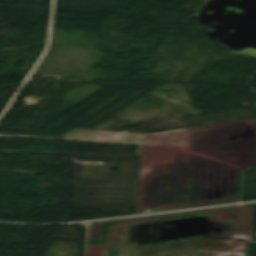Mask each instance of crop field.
<instances>
[{"instance_id": "obj_1", "label": "crop field", "mask_w": 256, "mask_h": 256, "mask_svg": "<svg viewBox=\"0 0 256 256\" xmlns=\"http://www.w3.org/2000/svg\"><path fill=\"white\" fill-rule=\"evenodd\" d=\"M63 138L133 142L148 146L193 148V128L152 135L71 131Z\"/></svg>"}]
</instances>
